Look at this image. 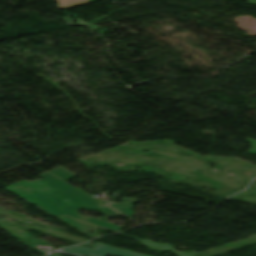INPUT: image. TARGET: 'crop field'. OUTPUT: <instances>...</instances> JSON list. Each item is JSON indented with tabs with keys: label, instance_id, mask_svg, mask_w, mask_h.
Masks as SVG:
<instances>
[{
	"label": "crop field",
	"instance_id": "1",
	"mask_svg": "<svg viewBox=\"0 0 256 256\" xmlns=\"http://www.w3.org/2000/svg\"><path fill=\"white\" fill-rule=\"evenodd\" d=\"M40 176L44 177V179L35 182L22 181L12 184L4 189L37 205L42 210L56 217L66 215L114 232L121 229L119 226L90 217H87L89 218L88 220L82 219L78 215L76 211L77 209H99L111 216L118 212L106 206L99 205L98 203L100 202L96 199L73 188L47 172L41 173ZM65 199H68L69 202H65Z\"/></svg>",
	"mask_w": 256,
	"mask_h": 256
},
{
	"label": "crop field",
	"instance_id": "2",
	"mask_svg": "<svg viewBox=\"0 0 256 256\" xmlns=\"http://www.w3.org/2000/svg\"><path fill=\"white\" fill-rule=\"evenodd\" d=\"M95 247L96 249L92 250V249L76 246L73 248L64 249L60 251H65V252H69L77 255L84 254V255H90V256H107L108 254L116 255V256H146V255H141V254H137L130 251L118 250L116 248L102 245L99 243H97Z\"/></svg>",
	"mask_w": 256,
	"mask_h": 256
},
{
	"label": "crop field",
	"instance_id": "3",
	"mask_svg": "<svg viewBox=\"0 0 256 256\" xmlns=\"http://www.w3.org/2000/svg\"><path fill=\"white\" fill-rule=\"evenodd\" d=\"M138 240L147 244L151 248L169 250V251H172V252H174V253H176L180 256H203V254L198 253V252L186 253V252L175 251V250L172 249L171 245H169V244H158V243H155V242L149 241V240H141V239H138Z\"/></svg>",
	"mask_w": 256,
	"mask_h": 256
},
{
	"label": "crop field",
	"instance_id": "4",
	"mask_svg": "<svg viewBox=\"0 0 256 256\" xmlns=\"http://www.w3.org/2000/svg\"><path fill=\"white\" fill-rule=\"evenodd\" d=\"M59 219H61V220L65 221V222H67V223L70 224L71 226L75 227L76 229H78V230L81 231L82 233H84V234H86V235H88V236H90V237H92V238L96 237V236H94V235H91V234L87 233L89 230L95 228V227H93V226H91V225L82 223V222H80V221H77V220H75V219L68 218V217H65V216H64V217H59Z\"/></svg>",
	"mask_w": 256,
	"mask_h": 256
},
{
	"label": "crop field",
	"instance_id": "5",
	"mask_svg": "<svg viewBox=\"0 0 256 256\" xmlns=\"http://www.w3.org/2000/svg\"><path fill=\"white\" fill-rule=\"evenodd\" d=\"M124 203H114L112 205H109L113 207L114 209L118 210L119 212L127 215L128 217L131 218L133 212H132V203L138 202V200H131V199H125L123 198Z\"/></svg>",
	"mask_w": 256,
	"mask_h": 256
},
{
	"label": "crop field",
	"instance_id": "6",
	"mask_svg": "<svg viewBox=\"0 0 256 256\" xmlns=\"http://www.w3.org/2000/svg\"><path fill=\"white\" fill-rule=\"evenodd\" d=\"M48 172L59 177L60 179H62L64 181L72 179L76 176L73 173H71L68 170L61 168V167H59L55 170H52V171H48Z\"/></svg>",
	"mask_w": 256,
	"mask_h": 256
}]
</instances>
